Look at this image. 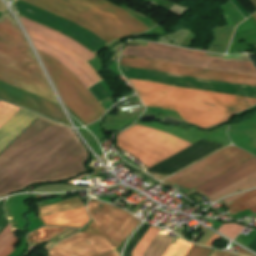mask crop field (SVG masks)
Instances as JSON below:
<instances>
[{
    "instance_id": "crop-field-27",
    "label": "crop field",
    "mask_w": 256,
    "mask_h": 256,
    "mask_svg": "<svg viewBox=\"0 0 256 256\" xmlns=\"http://www.w3.org/2000/svg\"><path fill=\"white\" fill-rule=\"evenodd\" d=\"M237 253L244 254V255H249V256H254L251 253H249V252H247L245 250H242V249H240Z\"/></svg>"
},
{
    "instance_id": "crop-field-14",
    "label": "crop field",
    "mask_w": 256,
    "mask_h": 256,
    "mask_svg": "<svg viewBox=\"0 0 256 256\" xmlns=\"http://www.w3.org/2000/svg\"><path fill=\"white\" fill-rule=\"evenodd\" d=\"M255 171H256V157L224 174L222 173L223 175L207 182L206 184L194 190L208 197L222 190L223 188L237 182L238 180L254 173Z\"/></svg>"
},
{
    "instance_id": "crop-field-18",
    "label": "crop field",
    "mask_w": 256,
    "mask_h": 256,
    "mask_svg": "<svg viewBox=\"0 0 256 256\" xmlns=\"http://www.w3.org/2000/svg\"><path fill=\"white\" fill-rule=\"evenodd\" d=\"M64 230L65 229L62 228L43 227L30 233L27 237V240L29 241L30 245L40 244L56 236Z\"/></svg>"
},
{
    "instance_id": "crop-field-15",
    "label": "crop field",
    "mask_w": 256,
    "mask_h": 256,
    "mask_svg": "<svg viewBox=\"0 0 256 256\" xmlns=\"http://www.w3.org/2000/svg\"><path fill=\"white\" fill-rule=\"evenodd\" d=\"M45 225L81 228L89 221L85 207L40 218Z\"/></svg>"
},
{
    "instance_id": "crop-field-28",
    "label": "crop field",
    "mask_w": 256,
    "mask_h": 256,
    "mask_svg": "<svg viewBox=\"0 0 256 256\" xmlns=\"http://www.w3.org/2000/svg\"><path fill=\"white\" fill-rule=\"evenodd\" d=\"M120 155H121V157H122L123 159H125L127 162H129V163L135 165L136 167L138 166V165L135 164L133 161H131V160H129L128 158H126L124 155H122V154H120Z\"/></svg>"
},
{
    "instance_id": "crop-field-13",
    "label": "crop field",
    "mask_w": 256,
    "mask_h": 256,
    "mask_svg": "<svg viewBox=\"0 0 256 256\" xmlns=\"http://www.w3.org/2000/svg\"><path fill=\"white\" fill-rule=\"evenodd\" d=\"M158 231L159 228L150 226L136 248L133 250L132 256H142L143 251L146 249ZM179 239L180 238L177 237L172 244L174 245ZM172 244L163 256H185L192 247V244H188L181 239L174 246ZM211 251V248L194 245L186 256H208Z\"/></svg>"
},
{
    "instance_id": "crop-field-3",
    "label": "crop field",
    "mask_w": 256,
    "mask_h": 256,
    "mask_svg": "<svg viewBox=\"0 0 256 256\" xmlns=\"http://www.w3.org/2000/svg\"><path fill=\"white\" fill-rule=\"evenodd\" d=\"M88 212L94 220L83 232L58 242L49 256H102L116 249L140 223L129 213L92 199Z\"/></svg>"
},
{
    "instance_id": "crop-field-16",
    "label": "crop field",
    "mask_w": 256,
    "mask_h": 256,
    "mask_svg": "<svg viewBox=\"0 0 256 256\" xmlns=\"http://www.w3.org/2000/svg\"><path fill=\"white\" fill-rule=\"evenodd\" d=\"M85 206L78 198H71L56 204L39 208V217Z\"/></svg>"
},
{
    "instance_id": "crop-field-6",
    "label": "crop field",
    "mask_w": 256,
    "mask_h": 256,
    "mask_svg": "<svg viewBox=\"0 0 256 256\" xmlns=\"http://www.w3.org/2000/svg\"><path fill=\"white\" fill-rule=\"evenodd\" d=\"M204 53L205 52L202 51L186 50L148 42L147 47L126 46L122 55L152 58L186 66L256 75L255 68L251 62H247L249 59L244 54L223 55L209 52L205 53L208 55L247 61L208 56L204 55Z\"/></svg>"
},
{
    "instance_id": "crop-field-23",
    "label": "crop field",
    "mask_w": 256,
    "mask_h": 256,
    "mask_svg": "<svg viewBox=\"0 0 256 256\" xmlns=\"http://www.w3.org/2000/svg\"><path fill=\"white\" fill-rule=\"evenodd\" d=\"M75 231H77V230L67 229V230H65L64 232H62V233H60L59 235H57L55 238H53V239L50 241V243L54 244V243H56L57 241H59V240L65 238V237H67V236L73 234Z\"/></svg>"
},
{
    "instance_id": "crop-field-20",
    "label": "crop field",
    "mask_w": 256,
    "mask_h": 256,
    "mask_svg": "<svg viewBox=\"0 0 256 256\" xmlns=\"http://www.w3.org/2000/svg\"><path fill=\"white\" fill-rule=\"evenodd\" d=\"M243 228L244 226L236 223H223L217 231L233 239Z\"/></svg>"
},
{
    "instance_id": "crop-field-9",
    "label": "crop field",
    "mask_w": 256,
    "mask_h": 256,
    "mask_svg": "<svg viewBox=\"0 0 256 256\" xmlns=\"http://www.w3.org/2000/svg\"><path fill=\"white\" fill-rule=\"evenodd\" d=\"M12 7L15 12L38 21L44 25L54 28L85 45L96 52L103 48L105 44L89 31L40 8L30 5L21 0H13Z\"/></svg>"
},
{
    "instance_id": "crop-field-10",
    "label": "crop field",
    "mask_w": 256,
    "mask_h": 256,
    "mask_svg": "<svg viewBox=\"0 0 256 256\" xmlns=\"http://www.w3.org/2000/svg\"><path fill=\"white\" fill-rule=\"evenodd\" d=\"M120 65L125 67L160 70V71L177 74V75L192 76V77L218 80V81H228V82H235L240 84L256 86V76H250V75L186 67V66L169 64V63H164L159 61L126 58V57L121 58Z\"/></svg>"
},
{
    "instance_id": "crop-field-24",
    "label": "crop field",
    "mask_w": 256,
    "mask_h": 256,
    "mask_svg": "<svg viewBox=\"0 0 256 256\" xmlns=\"http://www.w3.org/2000/svg\"><path fill=\"white\" fill-rule=\"evenodd\" d=\"M210 256H239V255L214 249V251L211 253Z\"/></svg>"
},
{
    "instance_id": "crop-field-12",
    "label": "crop field",
    "mask_w": 256,
    "mask_h": 256,
    "mask_svg": "<svg viewBox=\"0 0 256 256\" xmlns=\"http://www.w3.org/2000/svg\"><path fill=\"white\" fill-rule=\"evenodd\" d=\"M0 96L17 102L58 121L66 118L60 107L32 94L26 93L0 82Z\"/></svg>"
},
{
    "instance_id": "crop-field-32",
    "label": "crop field",
    "mask_w": 256,
    "mask_h": 256,
    "mask_svg": "<svg viewBox=\"0 0 256 256\" xmlns=\"http://www.w3.org/2000/svg\"><path fill=\"white\" fill-rule=\"evenodd\" d=\"M0 15H1V13H0Z\"/></svg>"
},
{
    "instance_id": "crop-field-19",
    "label": "crop field",
    "mask_w": 256,
    "mask_h": 256,
    "mask_svg": "<svg viewBox=\"0 0 256 256\" xmlns=\"http://www.w3.org/2000/svg\"><path fill=\"white\" fill-rule=\"evenodd\" d=\"M13 235L10 225H8L0 233V247ZM17 243V238L13 235L0 249V256H7L14 250V245Z\"/></svg>"
},
{
    "instance_id": "crop-field-11",
    "label": "crop field",
    "mask_w": 256,
    "mask_h": 256,
    "mask_svg": "<svg viewBox=\"0 0 256 256\" xmlns=\"http://www.w3.org/2000/svg\"><path fill=\"white\" fill-rule=\"evenodd\" d=\"M19 108L0 101V127L17 111ZM38 115L20 109L0 128V152L13 141Z\"/></svg>"
},
{
    "instance_id": "crop-field-17",
    "label": "crop field",
    "mask_w": 256,
    "mask_h": 256,
    "mask_svg": "<svg viewBox=\"0 0 256 256\" xmlns=\"http://www.w3.org/2000/svg\"><path fill=\"white\" fill-rule=\"evenodd\" d=\"M254 186H256V172L254 174L240 180L239 182L223 189L222 191L210 196L209 198L212 201H215L227 194H231L238 190H242V189H246V188H250V187H254Z\"/></svg>"
},
{
    "instance_id": "crop-field-29",
    "label": "crop field",
    "mask_w": 256,
    "mask_h": 256,
    "mask_svg": "<svg viewBox=\"0 0 256 256\" xmlns=\"http://www.w3.org/2000/svg\"><path fill=\"white\" fill-rule=\"evenodd\" d=\"M106 256H119V254L116 251H114Z\"/></svg>"
},
{
    "instance_id": "crop-field-22",
    "label": "crop field",
    "mask_w": 256,
    "mask_h": 256,
    "mask_svg": "<svg viewBox=\"0 0 256 256\" xmlns=\"http://www.w3.org/2000/svg\"><path fill=\"white\" fill-rule=\"evenodd\" d=\"M255 195H256V190H252V191L248 192L247 194H245L244 196L240 197L239 199L235 200V201H234V202H235L234 204L228 206L229 204L233 203V202H230V203H228V205H227V204H224V205H225L228 209H230V208H232V207H234V206H236V205H239V204H241V203L247 201L248 199H250L251 197H253V196H255Z\"/></svg>"
},
{
    "instance_id": "crop-field-31",
    "label": "crop field",
    "mask_w": 256,
    "mask_h": 256,
    "mask_svg": "<svg viewBox=\"0 0 256 256\" xmlns=\"http://www.w3.org/2000/svg\"><path fill=\"white\" fill-rule=\"evenodd\" d=\"M240 256H243V255H240Z\"/></svg>"
},
{
    "instance_id": "crop-field-5",
    "label": "crop field",
    "mask_w": 256,
    "mask_h": 256,
    "mask_svg": "<svg viewBox=\"0 0 256 256\" xmlns=\"http://www.w3.org/2000/svg\"><path fill=\"white\" fill-rule=\"evenodd\" d=\"M0 80L58 104L26 39L6 14L0 20Z\"/></svg>"
},
{
    "instance_id": "crop-field-25",
    "label": "crop field",
    "mask_w": 256,
    "mask_h": 256,
    "mask_svg": "<svg viewBox=\"0 0 256 256\" xmlns=\"http://www.w3.org/2000/svg\"><path fill=\"white\" fill-rule=\"evenodd\" d=\"M218 238H219V236H217V235H213L208 241H207V243L205 244V245H207V246H211L216 240H218Z\"/></svg>"
},
{
    "instance_id": "crop-field-1",
    "label": "crop field",
    "mask_w": 256,
    "mask_h": 256,
    "mask_svg": "<svg viewBox=\"0 0 256 256\" xmlns=\"http://www.w3.org/2000/svg\"><path fill=\"white\" fill-rule=\"evenodd\" d=\"M20 20L35 48L65 65L85 86L102 80L100 75L86 62L94 58V54L49 28L24 17ZM40 51L38 53L67 106L86 124L99 119L106 111L99 103L116 95L104 80L86 86L99 101L98 103L71 71Z\"/></svg>"
},
{
    "instance_id": "crop-field-30",
    "label": "crop field",
    "mask_w": 256,
    "mask_h": 256,
    "mask_svg": "<svg viewBox=\"0 0 256 256\" xmlns=\"http://www.w3.org/2000/svg\"><path fill=\"white\" fill-rule=\"evenodd\" d=\"M253 16H254V18L256 19V13H255Z\"/></svg>"
},
{
    "instance_id": "crop-field-7",
    "label": "crop field",
    "mask_w": 256,
    "mask_h": 256,
    "mask_svg": "<svg viewBox=\"0 0 256 256\" xmlns=\"http://www.w3.org/2000/svg\"><path fill=\"white\" fill-rule=\"evenodd\" d=\"M130 129L142 131L162 138L184 149L191 145L163 131L139 125H135ZM130 129H127L117 135V146L131 153L148 168L181 150V148L167 141Z\"/></svg>"
},
{
    "instance_id": "crop-field-8",
    "label": "crop field",
    "mask_w": 256,
    "mask_h": 256,
    "mask_svg": "<svg viewBox=\"0 0 256 256\" xmlns=\"http://www.w3.org/2000/svg\"><path fill=\"white\" fill-rule=\"evenodd\" d=\"M252 156L230 146L166 180L191 189Z\"/></svg>"
},
{
    "instance_id": "crop-field-26",
    "label": "crop field",
    "mask_w": 256,
    "mask_h": 256,
    "mask_svg": "<svg viewBox=\"0 0 256 256\" xmlns=\"http://www.w3.org/2000/svg\"><path fill=\"white\" fill-rule=\"evenodd\" d=\"M247 193V192H246ZM243 194H245V193H243ZM243 194H239V195H235V196H232V197H228V198H225V199H223L222 201H224V202H229V201H231V200H234V199H237V198H239L240 196H242Z\"/></svg>"
},
{
    "instance_id": "crop-field-2",
    "label": "crop field",
    "mask_w": 256,
    "mask_h": 256,
    "mask_svg": "<svg viewBox=\"0 0 256 256\" xmlns=\"http://www.w3.org/2000/svg\"><path fill=\"white\" fill-rule=\"evenodd\" d=\"M128 80L144 105L178 111L183 121L203 129L256 104V98Z\"/></svg>"
},
{
    "instance_id": "crop-field-21",
    "label": "crop field",
    "mask_w": 256,
    "mask_h": 256,
    "mask_svg": "<svg viewBox=\"0 0 256 256\" xmlns=\"http://www.w3.org/2000/svg\"><path fill=\"white\" fill-rule=\"evenodd\" d=\"M249 209L251 210L253 213H256V196L251 198L250 200H248L247 202L237 206V207H234L230 210H228V212L233 215L235 213H238L242 210H245V209Z\"/></svg>"
},
{
    "instance_id": "crop-field-4",
    "label": "crop field",
    "mask_w": 256,
    "mask_h": 256,
    "mask_svg": "<svg viewBox=\"0 0 256 256\" xmlns=\"http://www.w3.org/2000/svg\"><path fill=\"white\" fill-rule=\"evenodd\" d=\"M24 1L87 28L108 43L114 38L140 33L149 29L124 10L106 0Z\"/></svg>"
}]
</instances>
